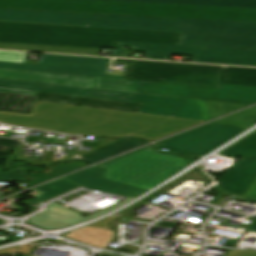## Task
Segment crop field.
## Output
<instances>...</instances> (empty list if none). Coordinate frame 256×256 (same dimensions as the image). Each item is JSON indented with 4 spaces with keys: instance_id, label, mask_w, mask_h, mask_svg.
<instances>
[{
    "instance_id": "1",
    "label": "crop field",
    "mask_w": 256,
    "mask_h": 256,
    "mask_svg": "<svg viewBox=\"0 0 256 256\" xmlns=\"http://www.w3.org/2000/svg\"><path fill=\"white\" fill-rule=\"evenodd\" d=\"M0 122L67 134L155 141L202 122L38 102L30 115L0 112Z\"/></svg>"
},
{
    "instance_id": "2",
    "label": "crop field",
    "mask_w": 256,
    "mask_h": 256,
    "mask_svg": "<svg viewBox=\"0 0 256 256\" xmlns=\"http://www.w3.org/2000/svg\"><path fill=\"white\" fill-rule=\"evenodd\" d=\"M181 33L0 23V42L114 49L116 41L178 45Z\"/></svg>"
},
{
    "instance_id": "3",
    "label": "crop field",
    "mask_w": 256,
    "mask_h": 256,
    "mask_svg": "<svg viewBox=\"0 0 256 256\" xmlns=\"http://www.w3.org/2000/svg\"><path fill=\"white\" fill-rule=\"evenodd\" d=\"M0 7L256 22L255 9L104 2L86 0H0Z\"/></svg>"
},
{
    "instance_id": "4",
    "label": "crop field",
    "mask_w": 256,
    "mask_h": 256,
    "mask_svg": "<svg viewBox=\"0 0 256 256\" xmlns=\"http://www.w3.org/2000/svg\"><path fill=\"white\" fill-rule=\"evenodd\" d=\"M0 91L20 95L36 96L38 91L87 96L95 98L144 103L140 113L175 115L176 117L208 121L210 115L204 101L188 100L140 93H128L83 87L61 86L19 82L0 79Z\"/></svg>"
},
{
    "instance_id": "5",
    "label": "crop field",
    "mask_w": 256,
    "mask_h": 256,
    "mask_svg": "<svg viewBox=\"0 0 256 256\" xmlns=\"http://www.w3.org/2000/svg\"><path fill=\"white\" fill-rule=\"evenodd\" d=\"M184 19L0 9V21L180 32Z\"/></svg>"
},
{
    "instance_id": "6",
    "label": "crop field",
    "mask_w": 256,
    "mask_h": 256,
    "mask_svg": "<svg viewBox=\"0 0 256 256\" xmlns=\"http://www.w3.org/2000/svg\"><path fill=\"white\" fill-rule=\"evenodd\" d=\"M187 166L188 160L157 153L150 146L98 167L106 170L105 179L150 190Z\"/></svg>"
},
{
    "instance_id": "7",
    "label": "crop field",
    "mask_w": 256,
    "mask_h": 256,
    "mask_svg": "<svg viewBox=\"0 0 256 256\" xmlns=\"http://www.w3.org/2000/svg\"><path fill=\"white\" fill-rule=\"evenodd\" d=\"M131 63L124 79L222 88L223 66L115 59Z\"/></svg>"
},
{
    "instance_id": "8",
    "label": "crop field",
    "mask_w": 256,
    "mask_h": 256,
    "mask_svg": "<svg viewBox=\"0 0 256 256\" xmlns=\"http://www.w3.org/2000/svg\"><path fill=\"white\" fill-rule=\"evenodd\" d=\"M180 45L256 50V23L186 19Z\"/></svg>"
},
{
    "instance_id": "9",
    "label": "crop field",
    "mask_w": 256,
    "mask_h": 256,
    "mask_svg": "<svg viewBox=\"0 0 256 256\" xmlns=\"http://www.w3.org/2000/svg\"><path fill=\"white\" fill-rule=\"evenodd\" d=\"M247 129L249 128L211 123L156 145L179 154L205 156Z\"/></svg>"
},
{
    "instance_id": "10",
    "label": "crop field",
    "mask_w": 256,
    "mask_h": 256,
    "mask_svg": "<svg viewBox=\"0 0 256 256\" xmlns=\"http://www.w3.org/2000/svg\"><path fill=\"white\" fill-rule=\"evenodd\" d=\"M138 92L228 103H256V88L224 85L223 89L142 82Z\"/></svg>"
},
{
    "instance_id": "11",
    "label": "crop field",
    "mask_w": 256,
    "mask_h": 256,
    "mask_svg": "<svg viewBox=\"0 0 256 256\" xmlns=\"http://www.w3.org/2000/svg\"><path fill=\"white\" fill-rule=\"evenodd\" d=\"M0 78L137 92L141 81L0 69Z\"/></svg>"
},
{
    "instance_id": "12",
    "label": "crop field",
    "mask_w": 256,
    "mask_h": 256,
    "mask_svg": "<svg viewBox=\"0 0 256 256\" xmlns=\"http://www.w3.org/2000/svg\"><path fill=\"white\" fill-rule=\"evenodd\" d=\"M109 60L43 54L39 66L0 62V68L104 77Z\"/></svg>"
},
{
    "instance_id": "13",
    "label": "crop field",
    "mask_w": 256,
    "mask_h": 256,
    "mask_svg": "<svg viewBox=\"0 0 256 256\" xmlns=\"http://www.w3.org/2000/svg\"><path fill=\"white\" fill-rule=\"evenodd\" d=\"M177 55L193 56L191 62L256 66V51L179 46Z\"/></svg>"
},
{
    "instance_id": "14",
    "label": "crop field",
    "mask_w": 256,
    "mask_h": 256,
    "mask_svg": "<svg viewBox=\"0 0 256 256\" xmlns=\"http://www.w3.org/2000/svg\"><path fill=\"white\" fill-rule=\"evenodd\" d=\"M105 170L94 167L77 174L65 177L89 189L136 198L148 190L102 179Z\"/></svg>"
},
{
    "instance_id": "15",
    "label": "crop field",
    "mask_w": 256,
    "mask_h": 256,
    "mask_svg": "<svg viewBox=\"0 0 256 256\" xmlns=\"http://www.w3.org/2000/svg\"><path fill=\"white\" fill-rule=\"evenodd\" d=\"M256 177V158H240L218 182L225 189L243 196Z\"/></svg>"
},
{
    "instance_id": "16",
    "label": "crop field",
    "mask_w": 256,
    "mask_h": 256,
    "mask_svg": "<svg viewBox=\"0 0 256 256\" xmlns=\"http://www.w3.org/2000/svg\"><path fill=\"white\" fill-rule=\"evenodd\" d=\"M37 101L138 113L142 104L39 93Z\"/></svg>"
},
{
    "instance_id": "17",
    "label": "crop field",
    "mask_w": 256,
    "mask_h": 256,
    "mask_svg": "<svg viewBox=\"0 0 256 256\" xmlns=\"http://www.w3.org/2000/svg\"><path fill=\"white\" fill-rule=\"evenodd\" d=\"M126 47H135L141 52H147L145 59L169 61L171 54L176 55L178 46L139 44L117 42L113 57L128 58Z\"/></svg>"
},
{
    "instance_id": "18",
    "label": "crop field",
    "mask_w": 256,
    "mask_h": 256,
    "mask_svg": "<svg viewBox=\"0 0 256 256\" xmlns=\"http://www.w3.org/2000/svg\"><path fill=\"white\" fill-rule=\"evenodd\" d=\"M104 1L142 2V3L180 4V5H199V6H217V7H236V8H255L256 9V0H104Z\"/></svg>"
},
{
    "instance_id": "19",
    "label": "crop field",
    "mask_w": 256,
    "mask_h": 256,
    "mask_svg": "<svg viewBox=\"0 0 256 256\" xmlns=\"http://www.w3.org/2000/svg\"><path fill=\"white\" fill-rule=\"evenodd\" d=\"M62 236L104 249L112 240L113 231L87 226Z\"/></svg>"
},
{
    "instance_id": "20",
    "label": "crop field",
    "mask_w": 256,
    "mask_h": 256,
    "mask_svg": "<svg viewBox=\"0 0 256 256\" xmlns=\"http://www.w3.org/2000/svg\"><path fill=\"white\" fill-rule=\"evenodd\" d=\"M1 49H15L23 51L36 52H54V53H70L98 56L101 49L91 48H73V47H58V46H43V45H28V44H13L0 43Z\"/></svg>"
},
{
    "instance_id": "21",
    "label": "crop field",
    "mask_w": 256,
    "mask_h": 256,
    "mask_svg": "<svg viewBox=\"0 0 256 256\" xmlns=\"http://www.w3.org/2000/svg\"><path fill=\"white\" fill-rule=\"evenodd\" d=\"M222 84L256 87V69L225 67Z\"/></svg>"
},
{
    "instance_id": "22",
    "label": "crop field",
    "mask_w": 256,
    "mask_h": 256,
    "mask_svg": "<svg viewBox=\"0 0 256 256\" xmlns=\"http://www.w3.org/2000/svg\"><path fill=\"white\" fill-rule=\"evenodd\" d=\"M86 166H89L79 160H77L74 163H69V164H59L55 167H51L49 168V171L46 173H35V172H31L29 173L32 181L28 182V183H24L25 185L32 187L35 186L37 184L43 183L45 181L54 179L56 177L65 175L67 173L73 172L75 170L84 168Z\"/></svg>"
},
{
    "instance_id": "23",
    "label": "crop field",
    "mask_w": 256,
    "mask_h": 256,
    "mask_svg": "<svg viewBox=\"0 0 256 256\" xmlns=\"http://www.w3.org/2000/svg\"><path fill=\"white\" fill-rule=\"evenodd\" d=\"M81 186L62 178L60 180H57L53 183H50L45 186H41L38 188H35L36 190L41 191L39 195L31 201L32 203L40 204L42 202H46L56 196H59L61 194H64L66 192H69L71 190H74L76 188H79ZM33 190V189H32ZM30 191V190H29Z\"/></svg>"
},
{
    "instance_id": "24",
    "label": "crop field",
    "mask_w": 256,
    "mask_h": 256,
    "mask_svg": "<svg viewBox=\"0 0 256 256\" xmlns=\"http://www.w3.org/2000/svg\"><path fill=\"white\" fill-rule=\"evenodd\" d=\"M36 97L20 96L0 92V110L29 112Z\"/></svg>"
},
{
    "instance_id": "25",
    "label": "crop field",
    "mask_w": 256,
    "mask_h": 256,
    "mask_svg": "<svg viewBox=\"0 0 256 256\" xmlns=\"http://www.w3.org/2000/svg\"><path fill=\"white\" fill-rule=\"evenodd\" d=\"M219 154L234 157H256V131L252 132Z\"/></svg>"
},
{
    "instance_id": "26",
    "label": "crop field",
    "mask_w": 256,
    "mask_h": 256,
    "mask_svg": "<svg viewBox=\"0 0 256 256\" xmlns=\"http://www.w3.org/2000/svg\"><path fill=\"white\" fill-rule=\"evenodd\" d=\"M143 144H146V143H144V142H142L138 139H126V140H123V141H121L120 143H118L114 146H111L109 148H106V149L100 151L97 154H94L92 156H89V157H86V158H83V159H80V160H82L84 162H87L89 164H92V163H95L97 161L103 160L105 158H108V157L114 156L116 154L122 153L124 151H127V150L133 149L135 147L141 146Z\"/></svg>"
},
{
    "instance_id": "27",
    "label": "crop field",
    "mask_w": 256,
    "mask_h": 256,
    "mask_svg": "<svg viewBox=\"0 0 256 256\" xmlns=\"http://www.w3.org/2000/svg\"><path fill=\"white\" fill-rule=\"evenodd\" d=\"M256 122V107L230 116L223 120L217 121V123L233 124L240 126L253 127Z\"/></svg>"
},
{
    "instance_id": "28",
    "label": "crop field",
    "mask_w": 256,
    "mask_h": 256,
    "mask_svg": "<svg viewBox=\"0 0 256 256\" xmlns=\"http://www.w3.org/2000/svg\"><path fill=\"white\" fill-rule=\"evenodd\" d=\"M205 102L212 119L247 106V105L228 104V103L213 102V101H205Z\"/></svg>"
},
{
    "instance_id": "29",
    "label": "crop field",
    "mask_w": 256,
    "mask_h": 256,
    "mask_svg": "<svg viewBox=\"0 0 256 256\" xmlns=\"http://www.w3.org/2000/svg\"><path fill=\"white\" fill-rule=\"evenodd\" d=\"M27 53L0 51V61L25 63Z\"/></svg>"
},
{
    "instance_id": "30",
    "label": "crop field",
    "mask_w": 256,
    "mask_h": 256,
    "mask_svg": "<svg viewBox=\"0 0 256 256\" xmlns=\"http://www.w3.org/2000/svg\"><path fill=\"white\" fill-rule=\"evenodd\" d=\"M25 169L42 170V169L31 168V167L21 168L19 171L15 173L8 174V175H0V182H7V180L11 178L24 179L23 172Z\"/></svg>"
},
{
    "instance_id": "31",
    "label": "crop field",
    "mask_w": 256,
    "mask_h": 256,
    "mask_svg": "<svg viewBox=\"0 0 256 256\" xmlns=\"http://www.w3.org/2000/svg\"><path fill=\"white\" fill-rule=\"evenodd\" d=\"M244 198L256 201V178L243 196Z\"/></svg>"
},
{
    "instance_id": "32",
    "label": "crop field",
    "mask_w": 256,
    "mask_h": 256,
    "mask_svg": "<svg viewBox=\"0 0 256 256\" xmlns=\"http://www.w3.org/2000/svg\"><path fill=\"white\" fill-rule=\"evenodd\" d=\"M18 143H19V141H17V140H10V139L0 138V147H2L4 145L11 147L5 153H10Z\"/></svg>"
},
{
    "instance_id": "33",
    "label": "crop field",
    "mask_w": 256,
    "mask_h": 256,
    "mask_svg": "<svg viewBox=\"0 0 256 256\" xmlns=\"http://www.w3.org/2000/svg\"><path fill=\"white\" fill-rule=\"evenodd\" d=\"M179 223H174V222H164V221H160L158 223H156V226H160V227H171V228H175Z\"/></svg>"
},
{
    "instance_id": "34",
    "label": "crop field",
    "mask_w": 256,
    "mask_h": 256,
    "mask_svg": "<svg viewBox=\"0 0 256 256\" xmlns=\"http://www.w3.org/2000/svg\"><path fill=\"white\" fill-rule=\"evenodd\" d=\"M56 152L46 151L42 160L53 161Z\"/></svg>"
},
{
    "instance_id": "35",
    "label": "crop field",
    "mask_w": 256,
    "mask_h": 256,
    "mask_svg": "<svg viewBox=\"0 0 256 256\" xmlns=\"http://www.w3.org/2000/svg\"><path fill=\"white\" fill-rule=\"evenodd\" d=\"M83 145L85 146H93V147H98L99 143H89V142H82Z\"/></svg>"
},
{
    "instance_id": "36",
    "label": "crop field",
    "mask_w": 256,
    "mask_h": 256,
    "mask_svg": "<svg viewBox=\"0 0 256 256\" xmlns=\"http://www.w3.org/2000/svg\"><path fill=\"white\" fill-rule=\"evenodd\" d=\"M248 231L256 232V221L251 225Z\"/></svg>"
}]
</instances>
